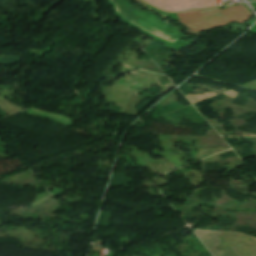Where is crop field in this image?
<instances>
[{
  "label": "crop field",
  "mask_w": 256,
  "mask_h": 256,
  "mask_svg": "<svg viewBox=\"0 0 256 256\" xmlns=\"http://www.w3.org/2000/svg\"><path fill=\"white\" fill-rule=\"evenodd\" d=\"M146 7L149 8V9L156 10L157 12H159L161 14L162 18H165L166 14H167V13H163V12H161V11H159V10L149 6V5H147Z\"/></svg>",
  "instance_id": "34b2d1b8"
},
{
  "label": "crop field",
  "mask_w": 256,
  "mask_h": 256,
  "mask_svg": "<svg viewBox=\"0 0 256 256\" xmlns=\"http://www.w3.org/2000/svg\"><path fill=\"white\" fill-rule=\"evenodd\" d=\"M135 1L141 2L143 7L146 5V4L143 3L141 0H135Z\"/></svg>",
  "instance_id": "412701ff"
},
{
  "label": "crop field",
  "mask_w": 256,
  "mask_h": 256,
  "mask_svg": "<svg viewBox=\"0 0 256 256\" xmlns=\"http://www.w3.org/2000/svg\"><path fill=\"white\" fill-rule=\"evenodd\" d=\"M179 20L189 27L188 32L198 35L201 31L225 25L233 21L244 23L253 15L240 4L225 10L200 14L198 10L178 13Z\"/></svg>",
  "instance_id": "8a807250"
},
{
  "label": "crop field",
  "mask_w": 256,
  "mask_h": 256,
  "mask_svg": "<svg viewBox=\"0 0 256 256\" xmlns=\"http://www.w3.org/2000/svg\"><path fill=\"white\" fill-rule=\"evenodd\" d=\"M166 12L214 7V0H143Z\"/></svg>",
  "instance_id": "ac0d7876"
},
{
  "label": "crop field",
  "mask_w": 256,
  "mask_h": 256,
  "mask_svg": "<svg viewBox=\"0 0 256 256\" xmlns=\"http://www.w3.org/2000/svg\"><path fill=\"white\" fill-rule=\"evenodd\" d=\"M214 9H216V8H214ZM209 10H213V9H208V10H200V11H201V13H202V12H206V11H209Z\"/></svg>",
  "instance_id": "f4fd0767"
},
{
  "label": "crop field",
  "mask_w": 256,
  "mask_h": 256,
  "mask_svg": "<svg viewBox=\"0 0 256 256\" xmlns=\"http://www.w3.org/2000/svg\"><path fill=\"white\" fill-rule=\"evenodd\" d=\"M248 1H253V0H248Z\"/></svg>",
  "instance_id": "dd49c442"
}]
</instances>
